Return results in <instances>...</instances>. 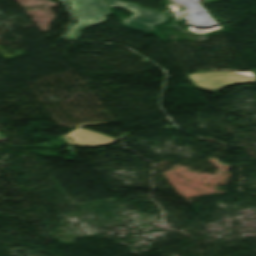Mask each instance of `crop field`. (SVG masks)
I'll return each instance as SVG.
<instances>
[{
	"mask_svg": "<svg viewBox=\"0 0 256 256\" xmlns=\"http://www.w3.org/2000/svg\"><path fill=\"white\" fill-rule=\"evenodd\" d=\"M109 7L121 6L135 14L123 18L122 23L124 26L135 28L138 30L146 31L152 28L153 25H157L165 20L167 16L165 13L137 7L134 4L118 1V0H105Z\"/></svg>",
	"mask_w": 256,
	"mask_h": 256,
	"instance_id": "obj_2",
	"label": "crop field"
},
{
	"mask_svg": "<svg viewBox=\"0 0 256 256\" xmlns=\"http://www.w3.org/2000/svg\"><path fill=\"white\" fill-rule=\"evenodd\" d=\"M196 87L219 91L223 87L232 84L256 82V78L234 72H199L187 75ZM202 81L198 83V81ZM203 84H206L204 86ZM218 88V90H216Z\"/></svg>",
	"mask_w": 256,
	"mask_h": 256,
	"instance_id": "obj_3",
	"label": "crop field"
},
{
	"mask_svg": "<svg viewBox=\"0 0 256 256\" xmlns=\"http://www.w3.org/2000/svg\"><path fill=\"white\" fill-rule=\"evenodd\" d=\"M101 123H107V122H94V123H81L78 125L76 130H72L73 132L67 134L70 136L75 143H72L65 135L63 138H65L68 142V144H76V145H87V146H97L102 144H110L113 143L116 138L93 132L90 130H86L83 128H80L82 125H89V124H101Z\"/></svg>",
	"mask_w": 256,
	"mask_h": 256,
	"instance_id": "obj_4",
	"label": "crop field"
},
{
	"mask_svg": "<svg viewBox=\"0 0 256 256\" xmlns=\"http://www.w3.org/2000/svg\"><path fill=\"white\" fill-rule=\"evenodd\" d=\"M78 22L65 34L66 38L77 40L81 32L89 26L105 21L106 15L110 14L103 0H67Z\"/></svg>",
	"mask_w": 256,
	"mask_h": 256,
	"instance_id": "obj_1",
	"label": "crop field"
},
{
	"mask_svg": "<svg viewBox=\"0 0 256 256\" xmlns=\"http://www.w3.org/2000/svg\"><path fill=\"white\" fill-rule=\"evenodd\" d=\"M60 1H62V0H60Z\"/></svg>",
	"mask_w": 256,
	"mask_h": 256,
	"instance_id": "obj_5",
	"label": "crop field"
}]
</instances>
